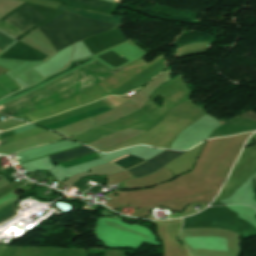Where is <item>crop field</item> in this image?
Segmentation results:
<instances>
[{
  "mask_svg": "<svg viewBox=\"0 0 256 256\" xmlns=\"http://www.w3.org/2000/svg\"><path fill=\"white\" fill-rule=\"evenodd\" d=\"M127 156H129V155H127ZM127 156H124V157H127ZM124 157H122V158H124ZM122 158L116 159V160H114V161H112V162H115V161L120 160V159H122ZM136 158H138V157H135V156L131 155V156L127 157V158H124V159H122V160H120V161L115 162V164H118L119 166H121V165H123V164H125V163H127V162H129V161H132V160H134V159H136ZM142 160H143V159L138 158V159H136V160H134V161H132V162H130V163H127V164H125V165H123V166H121V167L125 168V167H127V166H130V165L135 164V163H137V162H140V161H142Z\"/></svg>",
  "mask_w": 256,
  "mask_h": 256,
  "instance_id": "crop-field-11",
  "label": "crop field"
},
{
  "mask_svg": "<svg viewBox=\"0 0 256 256\" xmlns=\"http://www.w3.org/2000/svg\"><path fill=\"white\" fill-rule=\"evenodd\" d=\"M86 149H90V148H88L86 146H82V147L77 148V149L69 150L67 152H63V153H59V154L50 156L49 158H50V160H52V159H56V158H59V157H62V156H66V155H69V154L80 152V151H83V150H86ZM93 152H95V151L92 150V149L86 150V151H83V152H80V153H76V154L69 155V156H66V157H62V158H59V159H56V160H52L51 163L53 164V163H57V162H60V161L69 160V159L79 157V156H82V155H85V154L93 153Z\"/></svg>",
  "mask_w": 256,
  "mask_h": 256,
  "instance_id": "crop-field-8",
  "label": "crop field"
},
{
  "mask_svg": "<svg viewBox=\"0 0 256 256\" xmlns=\"http://www.w3.org/2000/svg\"><path fill=\"white\" fill-rule=\"evenodd\" d=\"M17 213L14 208V203L12 202L11 204L3 207L0 209V223L6 221L7 219L15 216Z\"/></svg>",
  "mask_w": 256,
  "mask_h": 256,
  "instance_id": "crop-field-10",
  "label": "crop field"
},
{
  "mask_svg": "<svg viewBox=\"0 0 256 256\" xmlns=\"http://www.w3.org/2000/svg\"><path fill=\"white\" fill-rule=\"evenodd\" d=\"M253 130H256V113L248 111L218 127L208 139Z\"/></svg>",
  "mask_w": 256,
  "mask_h": 256,
  "instance_id": "crop-field-3",
  "label": "crop field"
},
{
  "mask_svg": "<svg viewBox=\"0 0 256 256\" xmlns=\"http://www.w3.org/2000/svg\"><path fill=\"white\" fill-rule=\"evenodd\" d=\"M183 152L165 150L152 159L146 161V163L128 171L131 172L135 177L143 176L145 174L161 169L165 164L172 161Z\"/></svg>",
  "mask_w": 256,
  "mask_h": 256,
  "instance_id": "crop-field-4",
  "label": "crop field"
},
{
  "mask_svg": "<svg viewBox=\"0 0 256 256\" xmlns=\"http://www.w3.org/2000/svg\"><path fill=\"white\" fill-rule=\"evenodd\" d=\"M0 178H2V177H0Z\"/></svg>",
  "mask_w": 256,
  "mask_h": 256,
  "instance_id": "crop-field-14",
  "label": "crop field"
},
{
  "mask_svg": "<svg viewBox=\"0 0 256 256\" xmlns=\"http://www.w3.org/2000/svg\"><path fill=\"white\" fill-rule=\"evenodd\" d=\"M114 73L116 72L96 61L47 86L3 105L4 108L0 106L2 108L0 112L14 118L23 113L54 105L102 82Z\"/></svg>",
  "mask_w": 256,
  "mask_h": 256,
  "instance_id": "crop-field-1",
  "label": "crop field"
},
{
  "mask_svg": "<svg viewBox=\"0 0 256 256\" xmlns=\"http://www.w3.org/2000/svg\"><path fill=\"white\" fill-rule=\"evenodd\" d=\"M59 9L74 13L76 15H79L81 17H86V18H91L97 21H101V22H106V23H114V24H121L122 20L121 18H115V17H110V16H105V15H101L99 13H94V12H87V11H73L69 8H66L62 5L58 6Z\"/></svg>",
  "mask_w": 256,
  "mask_h": 256,
  "instance_id": "crop-field-6",
  "label": "crop field"
},
{
  "mask_svg": "<svg viewBox=\"0 0 256 256\" xmlns=\"http://www.w3.org/2000/svg\"><path fill=\"white\" fill-rule=\"evenodd\" d=\"M101 159V157L98 155V153H93L87 156H83L77 159H73V160H69V161H65L62 162L60 164H58L57 166L60 167L62 170L64 169H68L74 166H78L84 163H88L94 160H98Z\"/></svg>",
  "mask_w": 256,
  "mask_h": 256,
  "instance_id": "crop-field-9",
  "label": "crop field"
},
{
  "mask_svg": "<svg viewBox=\"0 0 256 256\" xmlns=\"http://www.w3.org/2000/svg\"><path fill=\"white\" fill-rule=\"evenodd\" d=\"M14 13H16L17 15H19L20 17H22L23 19H25L34 26L46 20L43 16L38 14L36 11L31 9L27 5ZM0 30L15 38L23 34L3 21L0 23Z\"/></svg>",
  "mask_w": 256,
  "mask_h": 256,
  "instance_id": "crop-field-5",
  "label": "crop field"
},
{
  "mask_svg": "<svg viewBox=\"0 0 256 256\" xmlns=\"http://www.w3.org/2000/svg\"><path fill=\"white\" fill-rule=\"evenodd\" d=\"M118 26L84 19L66 12L38 29L58 52L77 41Z\"/></svg>",
  "mask_w": 256,
  "mask_h": 256,
  "instance_id": "crop-field-2",
  "label": "crop field"
},
{
  "mask_svg": "<svg viewBox=\"0 0 256 256\" xmlns=\"http://www.w3.org/2000/svg\"><path fill=\"white\" fill-rule=\"evenodd\" d=\"M81 1L89 2V3H93V4H97V5H101L109 8H111L113 4L111 2L101 1V0H81Z\"/></svg>",
  "mask_w": 256,
  "mask_h": 256,
  "instance_id": "crop-field-13",
  "label": "crop field"
},
{
  "mask_svg": "<svg viewBox=\"0 0 256 256\" xmlns=\"http://www.w3.org/2000/svg\"><path fill=\"white\" fill-rule=\"evenodd\" d=\"M103 112H106V111H105L101 106H99V107H97V108L91 109V110L86 111V112L81 113V114H78V115L73 116V117H71V118H68V119H66V120L60 121V122L55 123V124L50 125V126H47V127H45V128H48V129H50V130H53V129H56V128H58V127L67 125V124H69V123H72V122L81 120V119L86 118V117L94 116V115H97V114H100V113H103Z\"/></svg>",
  "mask_w": 256,
  "mask_h": 256,
  "instance_id": "crop-field-7",
  "label": "crop field"
},
{
  "mask_svg": "<svg viewBox=\"0 0 256 256\" xmlns=\"http://www.w3.org/2000/svg\"><path fill=\"white\" fill-rule=\"evenodd\" d=\"M13 41L15 40L0 33V51L2 52Z\"/></svg>",
  "mask_w": 256,
  "mask_h": 256,
  "instance_id": "crop-field-12",
  "label": "crop field"
}]
</instances>
